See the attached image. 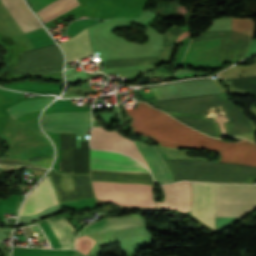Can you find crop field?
<instances>
[{
  "mask_svg": "<svg viewBox=\"0 0 256 256\" xmlns=\"http://www.w3.org/2000/svg\"><path fill=\"white\" fill-rule=\"evenodd\" d=\"M91 123L90 111L45 114L43 124L52 132L86 135Z\"/></svg>",
  "mask_w": 256,
  "mask_h": 256,
  "instance_id": "crop-field-6",
  "label": "crop field"
},
{
  "mask_svg": "<svg viewBox=\"0 0 256 256\" xmlns=\"http://www.w3.org/2000/svg\"><path fill=\"white\" fill-rule=\"evenodd\" d=\"M165 200L156 202L160 208L175 209L184 212L190 211L191 187L190 182H178L172 185L161 186Z\"/></svg>",
  "mask_w": 256,
  "mask_h": 256,
  "instance_id": "crop-field-10",
  "label": "crop field"
},
{
  "mask_svg": "<svg viewBox=\"0 0 256 256\" xmlns=\"http://www.w3.org/2000/svg\"><path fill=\"white\" fill-rule=\"evenodd\" d=\"M10 15L24 33L42 27L23 0H2Z\"/></svg>",
  "mask_w": 256,
  "mask_h": 256,
  "instance_id": "crop-field-12",
  "label": "crop field"
},
{
  "mask_svg": "<svg viewBox=\"0 0 256 256\" xmlns=\"http://www.w3.org/2000/svg\"><path fill=\"white\" fill-rule=\"evenodd\" d=\"M116 153V152H115ZM90 149V170L149 173L142 165L123 155ZM91 171L92 180L152 183L151 175ZM92 181L96 197L119 205L155 207L152 184Z\"/></svg>",
  "mask_w": 256,
  "mask_h": 256,
  "instance_id": "crop-field-2",
  "label": "crop field"
},
{
  "mask_svg": "<svg viewBox=\"0 0 256 256\" xmlns=\"http://www.w3.org/2000/svg\"><path fill=\"white\" fill-rule=\"evenodd\" d=\"M40 223L42 230L53 248H74V235L70 232L73 227L65 217L56 219L55 216Z\"/></svg>",
  "mask_w": 256,
  "mask_h": 256,
  "instance_id": "crop-field-8",
  "label": "crop field"
},
{
  "mask_svg": "<svg viewBox=\"0 0 256 256\" xmlns=\"http://www.w3.org/2000/svg\"><path fill=\"white\" fill-rule=\"evenodd\" d=\"M190 214L215 228L214 184L191 182Z\"/></svg>",
  "mask_w": 256,
  "mask_h": 256,
  "instance_id": "crop-field-7",
  "label": "crop field"
},
{
  "mask_svg": "<svg viewBox=\"0 0 256 256\" xmlns=\"http://www.w3.org/2000/svg\"><path fill=\"white\" fill-rule=\"evenodd\" d=\"M133 117V133L155 139L161 146L209 149L220 154L217 161L256 166V144L251 141L224 142L196 132L146 103L126 110ZM175 179L205 182L250 183L256 167L224 162L180 159L165 161Z\"/></svg>",
  "mask_w": 256,
  "mask_h": 256,
  "instance_id": "crop-field-1",
  "label": "crop field"
},
{
  "mask_svg": "<svg viewBox=\"0 0 256 256\" xmlns=\"http://www.w3.org/2000/svg\"><path fill=\"white\" fill-rule=\"evenodd\" d=\"M224 82L236 90L256 95V76L238 79H226Z\"/></svg>",
  "mask_w": 256,
  "mask_h": 256,
  "instance_id": "crop-field-18",
  "label": "crop field"
},
{
  "mask_svg": "<svg viewBox=\"0 0 256 256\" xmlns=\"http://www.w3.org/2000/svg\"><path fill=\"white\" fill-rule=\"evenodd\" d=\"M78 5H80L78 0H57L38 11L37 14L45 23Z\"/></svg>",
  "mask_w": 256,
  "mask_h": 256,
  "instance_id": "crop-field-15",
  "label": "crop field"
},
{
  "mask_svg": "<svg viewBox=\"0 0 256 256\" xmlns=\"http://www.w3.org/2000/svg\"><path fill=\"white\" fill-rule=\"evenodd\" d=\"M216 216L241 217L256 207V186L215 184Z\"/></svg>",
  "mask_w": 256,
  "mask_h": 256,
  "instance_id": "crop-field-5",
  "label": "crop field"
},
{
  "mask_svg": "<svg viewBox=\"0 0 256 256\" xmlns=\"http://www.w3.org/2000/svg\"><path fill=\"white\" fill-rule=\"evenodd\" d=\"M51 100L52 99H34L22 101L21 103L6 110L12 115V117L17 119L27 112L44 108L51 102Z\"/></svg>",
  "mask_w": 256,
  "mask_h": 256,
  "instance_id": "crop-field-16",
  "label": "crop field"
},
{
  "mask_svg": "<svg viewBox=\"0 0 256 256\" xmlns=\"http://www.w3.org/2000/svg\"><path fill=\"white\" fill-rule=\"evenodd\" d=\"M49 178L45 177L32 194L30 193L20 215L35 214L59 203Z\"/></svg>",
  "mask_w": 256,
  "mask_h": 256,
  "instance_id": "crop-field-9",
  "label": "crop field"
},
{
  "mask_svg": "<svg viewBox=\"0 0 256 256\" xmlns=\"http://www.w3.org/2000/svg\"><path fill=\"white\" fill-rule=\"evenodd\" d=\"M249 36L231 31V38L221 39L219 61L240 59L248 48Z\"/></svg>",
  "mask_w": 256,
  "mask_h": 256,
  "instance_id": "crop-field-13",
  "label": "crop field"
},
{
  "mask_svg": "<svg viewBox=\"0 0 256 256\" xmlns=\"http://www.w3.org/2000/svg\"><path fill=\"white\" fill-rule=\"evenodd\" d=\"M59 44L65 51L67 62L92 55L86 29Z\"/></svg>",
  "mask_w": 256,
  "mask_h": 256,
  "instance_id": "crop-field-14",
  "label": "crop field"
},
{
  "mask_svg": "<svg viewBox=\"0 0 256 256\" xmlns=\"http://www.w3.org/2000/svg\"><path fill=\"white\" fill-rule=\"evenodd\" d=\"M141 226H147V224L138 214H132L125 217L106 218L88 225L80 232L78 237L89 233H96L113 229L136 228Z\"/></svg>",
  "mask_w": 256,
  "mask_h": 256,
  "instance_id": "crop-field-11",
  "label": "crop field"
},
{
  "mask_svg": "<svg viewBox=\"0 0 256 256\" xmlns=\"http://www.w3.org/2000/svg\"><path fill=\"white\" fill-rule=\"evenodd\" d=\"M121 136L115 131L110 132L101 127H93L90 145L98 149L121 152L137 159L152 172L158 184L174 182L155 147L130 141Z\"/></svg>",
  "mask_w": 256,
  "mask_h": 256,
  "instance_id": "crop-field-4",
  "label": "crop field"
},
{
  "mask_svg": "<svg viewBox=\"0 0 256 256\" xmlns=\"http://www.w3.org/2000/svg\"><path fill=\"white\" fill-rule=\"evenodd\" d=\"M74 250H42L14 247L13 256H73Z\"/></svg>",
  "mask_w": 256,
  "mask_h": 256,
  "instance_id": "crop-field-17",
  "label": "crop field"
},
{
  "mask_svg": "<svg viewBox=\"0 0 256 256\" xmlns=\"http://www.w3.org/2000/svg\"><path fill=\"white\" fill-rule=\"evenodd\" d=\"M152 104L177 120L213 137H218V135L204 115L207 107L221 105L230 114L234 122L224 125L229 136L253 133L251 124L243 111L232 105L226 93L154 102Z\"/></svg>",
  "mask_w": 256,
  "mask_h": 256,
  "instance_id": "crop-field-3",
  "label": "crop field"
}]
</instances>
